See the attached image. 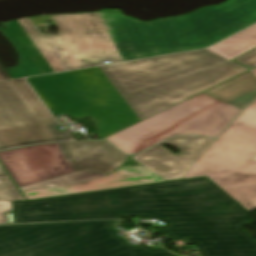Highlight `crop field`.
Returning a JSON list of instances; mask_svg holds the SVG:
<instances>
[{
  "label": "crop field",
  "instance_id": "8a807250",
  "mask_svg": "<svg viewBox=\"0 0 256 256\" xmlns=\"http://www.w3.org/2000/svg\"><path fill=\"white\" fill-rule=\"evenodd\" d=\"M256 25L206 49L27 78L53 115L91 116L105 138L249 69Z\"/></svg>",
  "mask_w": 256,
  "mask_h": 256
},
{
  "label": "crop field",
  "instance_id": "ac0d7876",
  "mask_svg": "<svg viewBox=\"0 0 256 256\" xmlns=\"http://www.w3.org/2000/svg\"><path fill=\"white\" fill-rule=\"evenodd\" d=\"M15 223L138 216L164 220L173 240L203 256H256L243 231L249 213L206 178L171 181L38 201H12ZM164 222V223H165Z\"/></svg>",
  "mask_w": 256,
  "mask_h": 256
},
{
  "label": "crop field",
  "instance_id": "34b2d1b8",
  "mask_svg": "<svg viewBox=\"0 0 256 256\" xmlns=\"http://www.w3.org/2000/svg\"><path fill=\"white\" fill-rule=\"evenodd\" d=\"M66 70L200 49L256 22V0H231L190 14L141 22L117 13L53 15Z\"/></svg>",
  "mask_w": 256,
  "mask_h": 256
},
{
  "label": "crop field",
  "instance_id": "412701ff",
  "mask_svg": "<svg viewBox=\"0 0 256 256\" xmlns=\"http://www.w3.org/2000/svg\"><path fill=\"white\" fill-rule=\"evenodd\" d=\"M115 221L0 226V256H176L129 246L111 228Z\"/></svg>",
  "mask_w": 256,
  "mask_h": 256
},
{
  "label": "crop field",
  "instance_id": "f4fd0767",
  "mask_svg": "<svg viewBox=\"0 0 256 256\" xmlns=\"http://www.w3.org/2000/svg\"><path fill=\"white\" fill-rule=\"evenodd\" d=\"M127 156L104 141L36 145L0 152V160L21 186L87 169L108 174Z\"/></svg>",
  "mask_w": 256,
  "mask_h": 256
},
{
  "label": "crop field",
  "instance_id": "dd49c442",
  "mask_svg": "<svg viewBox=\"0 0 256 256\" xmlns=\"http://www.w3.org/2000/svg\"><path fill=\"white\" fill-rule=\"evenodd\" d=\"M239 112L203 93L105 139L135 154L172 135L218 136Z\"/></svg>",
  "mask_w": 256,
  "mask_h": 256
},
{
  "label": "crop field",
  "instance_id": "e52e79f7",
  "mask_svg": "<svg viewBox=\"0 0 256 256\" xmlns=\"http://www.w3.org/2000/svg\"><path fill=\"white\" fill-rule=\"evenodd\" d=\"M24 79L11 80L0 68V150L68 140Z\"/></svg>",
  "mask_w": 256,
  "mask_h": 256
},
{
  "label": "crop field",
  "instance_id": "d8731c3e",
  "mask_svg": "<svg viewBox=\"0 0 256 256\" xmlns=\"http://www.w3.org/2000/svg\"><path fill=\"white\" fill-rule=\"evenodd\" d=\"M256 129L232 123L183 178L207 176L221 188L256 182Z\"/></svg>",
  "mask_w": 256,
  "mask_h": 256
},
{
  "label": "crop field",
  "instance_id": "5a996713",
  "mask_svg": "<svg viewBox=\"0 0 256 256\" xmlns=\"http://www.w3.org/2000/svg\"><path fill=\"white\" fill-rule=\"evenodd\" d=\"M0 48V67L11 79L53 72L17 20L0 24Z\"/></svg>",
  "mask_w": 256,
  "mask_h": 256
},
{
  "label": "crop field",
  "instance_id": "3316defc",
  "mask_svg": "<svg viewBox=\"0 0 256 256\" xmlns=\"http://www.w3.org/2000/svg\"><path fill=\"white\" fill-rule=\"evenodd\" d=\"M214 141L195 136H178L164 142L182 149L178 156L160 148L162 143L132 157V160L149 167L167 180L182 179Z\"/></svg>",
  "mask_w": 256,
  "mask_h": 256
},
{
  "label": "crop field",
  "instance_id": "28ad6ade",
  "mask_svg": "<svg viewBox=\"0 0 256 256\" xmlns=\"http://www.w3.org/2000/svg\"><path fill=\"white\" fill-rule=\"evenodd\" d=\"M167 181L146 167H123L106 177L72 185L24 191L28 199Z\"/></svg>",
  "mask_w": 256,
  "mask_h": 256
},
{
  "label": "crop field",
  "instance_id": "d1516ede",
  "mask_svg": "<svg viewBox=\"0 0 256 256\" xmlns=\"http://www.w3.org/2000/svg\"><path fill=\"white\" fill-rule=\"evenodd\" d=\"M207 93L242 110L256 99V79L248 72L207 91Z\"/></svg>",
  "mask_w": 256,
  "mask_h": 256
},
{
  "label": "crop field",
  "instance_id": "22f410ed",
  "mask_svg": "<svg viewBox=\"0 0 256 256\" xmlns=\"http://www.w3.org/2000/svg\"><path fill=\"white\" fill-rule=\"evenodd\" d=\"M24 27L28 35L31 37L35 45L38 47L42 55L45 57L49 65L54 72L63 71L64 68L60 62L57 52L53 46V43L49 36L42 35L36 31L35 26L32 24L29 18H23L18 20Z\"/></svg>",
  "mask_w": 256,
  "mask_h": 256
},
{
  "label": "crop field",
  "instance_id": "cbeb9de0",
  "mask_svg": "<svg viewBox=\"0 0 256 256\" xmlns=\"http://www.w3.org/2000/svg\"><path fill=\"white\" fill-rule=\"evenodd\" d=\"M102 176H106V175L83 170V171L75 172L65 176L50 179L47 181L32 184L29 186L21 187V190L24 191V190H30V189H36V188L78 183V182H82V181H86V180H90V179H94Z\"/></svg>",
  "mask_w": 256,
  "mask_h": 256
},
{
  "label": "crop field",
  "instance_id": "5142ce71",
  "mask_svg": "<svg viewBox=\"0 0 256 256\" xmlns=\"http://www.w3.org/2000/svg\"><path fill=\"white\" fill-rule=\"evenodd\" d=\"M248 211L256 208V184L223 189Z\"/></svg>",
  "mask_w": 256,
  "mask_h": 256
},
{
  "label": "crop field",
  "instance_id": "d9b57169",
  "mask_svg": "<svg viewBox=\"0 0 256 256\" xmlns=\"http://www.w3.org/2000/svg\"><path fill=\"white\" fill-rule=\"evenodd\" d=\"M0 200H25L1 165Z\"/></svg>",
  "mask_w": 256,
  "mask_h": 256
},
{
  "label": "crop field",
  "instance_id": "733c2abd",
  "mask_svg": "<svg viewBox=\"0 0 256 256\" xmlns=\"http://www.w3.org/2000/svg\"><path fill=\"white\" fill-rule=\"evenodd\" d=\"M234 123L256 128V101L247 108Z\"/></svg>",
  "mask_w": 256,
  "mask_h": 256
},
{
  "label": "crop field",
  "instance_id": "4a817a6b",
  "mask_svg": "<svg viewBox=\"0 0 256 256\" xmlns=\"http://www.w3.org/2000/svg\"><path fill=\"white\" fill-rule=\"evenodd\" d=\"M238 63H241L245 66L253 68L256 66V48L232 59Z\"/></svg>",
  "mask_w": 256,
  "mask_h": 256
},
{
  "label": "crop field",
  "instance_id": "bc2a9ffb",
  "mask_svg": "<svg viewBox=\"0 0 256 256\" xmlns=\"http://www.w3.org/2000/svg\"><path fill=\"white\" fill-rule=\"evenodd\" d=\"M12 211L11 201H0V223H6L4 212Z\"/></svg>",
  "mask_w": 256,
  "mask_h": 256
},
{
  "label": "crop field",
  "instance_id": "214f88e0",
  "mask_svg": "<svg viewBox=\"0 0 256 256\" xmlns=\"http://www.w3.org/2000/svg\"><path fill=\"white\" fill-rule=\"evenodd\" d=\"M251 73L256 77V69L251 71Z\"/></svg>",
  "mask_w": 256,
  "mask_h": 256
},
{
  "label": "crop field",
  "instance_id": "92a150f3",
  "mask_svg": "<svg viewBox=\"0 0 256 256\" xmlns=\"http://www.w3.org/2000/svg\"><path fill=\"white\" fill-rule=\"evenodd\" d=\"M255 161H256V157H255V159H254Z\"/></svg>",
  "mask_w": 256,
  "mask_h": 256
}]
</instances>
